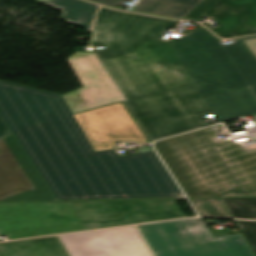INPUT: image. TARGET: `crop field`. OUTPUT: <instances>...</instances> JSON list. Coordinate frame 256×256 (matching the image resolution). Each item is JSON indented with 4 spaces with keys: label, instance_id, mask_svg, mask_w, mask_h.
I'll return each mask as SVG.
<instances>
[{
    "label": "crop field",
    "instance_id": "20",
    "mask_svg": "<svg viewBox=\"0 0 256 256\" xmlns=\"http://www.w3.org/2000/svg\"><path fill=\"white\" fill-rule=\"evenodd\" d=\"M36 1L41 3V2H44V1H48V0H36Z\"/></svg>",
    "mask_w": 256,
    "mask_h": 256
},
{
    "label": "crop field",
    "instance_id": "9",
    "mask_svg": "<svg viewBox=\"0 0 256 256\" xmlns=\"http://www.w3.org/2000/svg\"><path fill=\"white\" fill-rule=\"evenodd\" d=\"M70 256H152L135 227L59 236Z\"/></svg>",
    "mask_w": 256,
    "mask_h": 256
},
{
    "label": "crop field",
    "instance_id": "2",
    "mask_svg": "<svg viewBox=\"0 0 256 256\" xmlns=\"http://www.w3.org/2000/svg\"><path fill=\"white\" fill-rule=\"evenodd\" d=\"M67 59L83 87L62 95L73 114L123 101L150 142L205 127L201 114L219 122L256 114L250 88L234 94L117 54Z\"/></svg>",
    "mask_w": 256,
    "mask_h": 256
},
{
    "label": "crop field",
    "instance_id": "16",
    "mask_svg": "<svg viewBox=\"0 0 256 256\" xmlns=\"http://www.w3.org/2000/svg\"><path fill=\"white\" fill-rule=\"evenodd\" d=\"M201 216L230 217L220 199L190 200Z\"/></svg>",
    "mask_w": 256,
    "mask_h": 256
},
{
    "label": "crop field",
    "instance_id": "15",
    "mask_svg": "<svg viewBox=\"0 0 256 256\" xmlns=\"http://www.w3.org/2000/svg\"><path fill=\"white\" fill-rule=\"evenodd\" d=\"M235 218L256 219V198L222 199Z\"/></svg>",
    "mask_w": 256,
    "mask_h": 256
},
{
    "label": "crop field",
    "instance_id": "5",
    "mask_svg": "<svg viewBox=\"0 0 256 256\" xmlns=\"http://www.w3.org/2000/svg\"><path fill=\"white\" fill-rule=\"evenodd\" d=\"M138 227L155 256H254L242 234L212 238L201 218Z\"/></svg>",
    "mask_w": 256,
    "mask_h": 256
},
{
    "label": "crop field",
    "instance_id": "7",
    "mask_svg": "<svg viewBox=\"0 0 256 256\" xmlns=\"http://www.w3.org/2000/svg\"><path fill=\"white\" fill-rule=\"evenodd\" d=\"M81 230L67 202L0 204V235L10 240Z\"/></svg>",
    "mask_w": 256,
    "mask_h": 256
},
{
    "label": "crop field",
    "instance_id": "8",
    "mask_svg": "<svg viewBox=\"0 0 256 256\" xmlns=\"http://www.w3.org/2000/svg\"><path fill=\"white\" fill-rule=\"evenodd\" d=\"M55 201L12 133L0 141V202Z\"/></svg>",
    "mask_w": 256,
    "mask_h": 256
},
{
    "label": "crop field",
    "instance_id": "21",
    "mask_svg": "<svg viewBox=\"0 0 256 256\" xmlns=\"http://www.w3.org/2000/svg\"><path fill=\"white\" fill-rule=\"evenodd\" d=\"M255 119H256V116H255Z\"/></svg>",
    "mask_w": 256,
    "mask_h": 256
},
{
    "label": "crop field",
    "instance_id": "19",
    "mask_svg": "<svg viewBox=\"0 0 256 256\" xmlns=\"http://www.w3.org/2000/svg\"><path fill=\"white\" fill-rule=\"evenodd\" d=\"M252 89H253L254 92L256 93V85L252 86Z\"/></svg>",
    "mask_w": 256,
    "mask_h": 256
},
{
    "label": "crop field",
    "instance_id": "11",
    "mask_svg": "<svg viewBox=\"0 0 256 256\" xmlns=\"http://www.w3.org/2000/svg\"><path fill=\"white\" fill-rule=\"evenodd\" d=\"M204 15L218 20L222 27L212 31L222 38L256 33V0H204L184 19L197 21Z\"/></svg>",
    "mask_w": 256,
    "mask_h": 256
},
{
    "label": "crop field",
    "instance_id": "6",
    "mask_svg": "<svg viewBox=\"0 0 256 256\" xmlns=\"http://www.w3.org/2000/svg\"><path fill=\"white\" fill-rule=\"evenodd\" d=\"M84 230L185 217L176 200L68 202Z\"/></svg>",
    "mask_w": 256,
    "mask_h": 256
},
{
    "label": "crop field",
    "instance_id": "17",
    "mask_svg": "<svg viewBox=\"0 0 256 256\" xmlns=\"http://www.w3.org/2000/svg\"><path fill=\"white\" fill-rule=\"evenodd\" d=\"M235 222L256 253V222L237 220Z\"/></svg>",
    "mask_w": 256,
    "mask_h": 256
},
{
    "label": "crop field",
    "instance_id": "10",
    "mask_svg": "<svg viewBox=\"0 0 256 256\" xmlns=\"http://www.w3.org/2000/svg\"><path fill=\"white\" fill-rule=\"evenodd\" d=\"M74 117L95 151L113 148L115 141H146L122 103L76 114Z\"/></svg>",
    "mask_w": 256,
    "mask_h": 256
},
{
    "label": "crop field",
    "instance_id": "13",
    "mask_svg": "<svg viewBox=\"0 0 256 256\" xmlns=\"http://www.w3.org/2000/svg\"><path fill=\"white\" fill-rule=\"evenodd\" d=\"M0 256H68V254L57 236H54L0 243Z\"/></svg>",
    "mask_w": 256,
    "mask_h": 256
},
{
    "label": "crop field",
    "instance_id": "4",
    "mask_svg": "<svg viewBox=\"0 0 256 256\" xmlns=\"http://www.w3.org/2000/svg\"><path fill=\"white\" fill-rule=\"evenodd\" d=\"M221 126L153 145L188 198L256 197V149L215 139Z\"/></svg>",
    "mask_w": 256,
    "mask_h": 256
},
{
    "label": "crop field",
    "instance_id": "1",
    "mask_svg": "<svg viewBox=\"0 0 256 256\" xmlns=\"http://www.w3.org/2000/svg\"><path fill=\"white\" fill-rule=\"evenodd\" d=\"M0 115L56 201L184 198L153 151L95 153L60 95L0 81Z\"/></svg>",
    "mask_w": 256,
    "mask_h": 256
},
{
    "label": "crop field",
    "instance_id": "12",
    "mask_svg": "<svg viewBox=\"0 0 256 256\" xmlns=\"http://www.w3.org/2000/svg\"><path fill=\"white\" fill-rule=\"evenodd\" d=\"M108 6L120 5L128 0H91ZM203 0H141L134 11L183 19Z\"/></svg>",
    "mask_w": 256,
    "mask_h": 256
},
{
    "label": "crop field",
    "instance_id": "18",
    "mask_svg": "<svg viewBox=\"0 0 256 256\" xmlns=\"http://www.w3.org/2000/svg\"><path fill=\"white\" fill-rule=\"evenodd\" d=\"M10 130L8 129L7 125L5 122L2 120L0 117V140L5 137L6 135L10 134Z\"/></svg>",
    "mask_w": 256,
    "mask_h": 256
},
{
    "label": "crop field",
    "instance_id": "3",
    "mask_svg": "<svg viewBox=\"0 0 256 256\" xmlns=\"http://www.w3.org/2000/svg\"><path fill=\"white\" fill-rule=\"evenodd\" d=\"M178 21L100 7L92 47L78 53H117L237 93L256 84V36L223 45L204 27L160 39Z\"/></svg>",
    "mask_w": 256,
    "mask_h": 256
},
{
    "label": "crop field",
    "instance_id": "14",
    "mask_svg": "<svg viewBox=\"0 0 256 256\" xmlns=\"http://www.w3.org/2000/svg\"><path fill=\"white\" fill-rule=\"evenodd\" d=\"M49 6L63 11L62 19L90 29L94 14L98 8L97 5L80 0H52L44 2Z\"/></svg>",
    "mask_w": 256,
    "mask_h": 256
}]
</instances>
